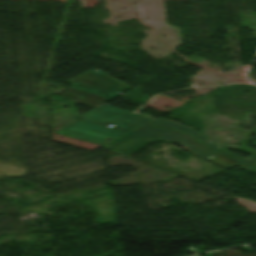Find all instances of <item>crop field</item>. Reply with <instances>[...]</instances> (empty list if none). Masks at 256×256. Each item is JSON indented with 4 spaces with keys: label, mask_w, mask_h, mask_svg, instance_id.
Returning <instances> with one entry per match:
<instances>
[{
    "label": "crop field",
    "mask_w": 256,
    "mask_h": 256,
    "mask_svg": "<svg viewBox=\"0 0 256 256\" xmlns=\"http://www.w3.org/2000/svg\"><path fill=\"white\" fill-rule=\"evenodd\" d=\"M80 118L82 121L103 127L112 124L114 125L111 127L112 129L126 133L152 121L106 104L80 116Z\"/></svg>",
    "instance_id": "8a807250"
},
{
    "label": "crop field",
    "mask_w": 256,
    "mask_h": 256,
    "mask_svg": "<svg viewBox=\"0 0 256 256\" xmlns=\"http://www.w3.org/2000/svg\"><path fill=\"white\" fill-rule=\"evenodd\" d=\"M133 132L140 135L177 143L183 146L184 148H186L187 150H189L190 152H192L194 155H196L199 158L206 159L210 156L215 155L213 152L208 150L206 147L200 144L193 137L186 134L178 133L175 131H171L168 129L160 128V127L149 125V124Z\"/></svg>",
    "instance_id": "ac0d7876"
},
{
    "label": "crop field",
    "mask_w": 256,
    "mask_h": 256,
    "mask_svg": "<svg viewBox=\"0 0 256 256\" xmlns=\"http://www.w3.org/2000/svg\"><path fill=\"white\" fill-rule=\"evenodd\" d=\"M57 133L85 140L91 143L103 145L113 139H116L126 133L107 129L79 121Z\"/></svg>",
    "instance_id": "34b2d1b8"
},
{
    "label": "crop field",
    "mask_w": 256,
    "mask_h": 256,
    "mask_svg": "<svg viewBox=\"0 0 256 256\" xmlns=\"http://www.w3.org/2000/svg\"><path fill=\"white\" fill-rule=\"evenodd\" d=\"M157 139L140 136L129 132L128 134L102 146L115 152L122 154H130L142 147L147 143H153ZM146 146V145H145Z\"/></svg>",
    "instance_id": "412701ff"
},
{
    "label": "crop field",
    "mask_w": 256,
    "mask_h": 256,
    "mask_svg": "<svg viewBox=\"0 0 256 256\" xmlns=\"http://www.w3.org/2000/svg\"><path fill=\"white\" fill-rule=\"evenodd\" d=\"M150 123L156 124V125H160L163 127H167V128H171L174 130H178V131H182V132H186L189 134H192L194 137H196L198 140H200L201 142H203L205 145H207L209 148L215 150L217 153L225 150V149H221L218 147H215L214 145L210 144L208 141H206L204 138H202L193 128L176 123L174 121L171 120H167V119H162L159 118L155 121H152Z\"/></svg>",
    "instance_id": "f4fd0767"
},
{
    "label": "crop field",
    "mask_w": 256,
    "mask_h": 256,
    "mask_svg": "<svg viewBox=\"0 0 256 256\" xmlns=\"http://www.w3.org/2000/svg\"><path fill=\"white\" fill-rule=\"evenodd\" d=\"M56 94L74 99L76 101H79V102H82V103H85V104H88V105H91L94 107L107 101V100L97 98V97H94V96H91V95H88V94H85V93H82V92H79V91H76V90H73L70 88H67L63 91L56 93Z\"/></svg>",
    "instance_id": "dd49c442"
}]
</instances>
